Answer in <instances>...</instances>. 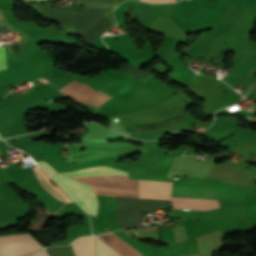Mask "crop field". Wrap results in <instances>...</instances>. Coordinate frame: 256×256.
I'll list each match as a JSON object with an SVG mask.
<instances>
[{
  "label": "crop field",
  "mask_w": 256,
  "mask_h": 256,
  "mask_svg": "<svg viewBox=\"0 0 256 256\" xmlns=\"http://www.w3.org/2000/svg\"><path fill=\"white\" fill-rule=\"evenodd\" d=\"M142 1H148V2H154V3L174 2V0H142Z\"/></svg>",
  "instance_id": "obj_16"
},
{
  "label": "crop field",
  "mask_w": 256,
  "mask_h": 256,
  "mask_svg": "<svg viewBox=\"0 0 256 256\" xmlns=\"http://www.w3.org/2000/svg\"><path fill=\"white\" fill-rule=\"evenodd\" d=\"M96 256H118L103 243L96 239Z\"/></svg>",
  "instance_id": "obj_13"
},
{
  "label": "crop field",
  "mask_w": 256,
  "mask_h": 256,
  "mask_svg": "<svg viewBox=\"0 0 256 256\" xmlns=\"http://www.w3.org/2000/svg\"><path fill=\"white\" fill-rule=\"evenodd\" d=\"M172 183L139 180L140 198L170 200Z\"/></svg>",
  "instance_id": "obj_5"
},
{
  "label": "crop field",
  "mask_w": 256,
  "mask_h": 256,
  "mask_svg": "<svg viewBox=\"0 0 256 256\" xmlns=\"http://www.w3.org/2000/svg\"><path fill=\"white\" fill-rule=\"evenodd\" d=\"M118 228L140 226V212L171 206V201L115 197Z\"/></svg>",
  "instance_id": "obj_3"
},
{
  "label": "crop field",
  "mask_w": 256,
  "mask_h": 256,
  "mask_svg": "<svg viewBox=\"0 0 256 256\" xmlns=\"http://www.w3.org/2000/svg\"><path fill=\"white\" fill-rule=\"evenodd\" d=\"M71 246L76 256H94V237H80Z\"/></svg>",
  "instance_id": "obj_11"
},
{
  "label": "crop field",
  "mask_w": 256,
  "mask_h": 256,
  "mask_svg": "<svg viewBox=\"0 0 256 256\" xmlns=\"http://www.w3.org/2000/svg\"><path fill=\"white\" fill-rule=\"evenodd\" d=\"M1 138V137H0Z\"/></svg>",
  "instance_id": "obj_19"
},
{
  "label": "crop field",
  "mask_w": 256,
  "mask_h": 256,
  "mask_svg": "<svg viewBox=\"0 0 256 256\" xmlns=\"http://www.w3.org/2000/svg\"><path fill=\"white\" fill-rule=\"evenodd\" d=\"M172 196L216 199L214 189L211 187L173 186Z\"/></svg>",
  "instance_id": "obj_9"
},
{
  "label": "crop field",
  "mask_w": 256,
  "mask_h": 256,
  "mask_svg": "<svg viewBox=\"0 0 256 256\" xmlns=\"http://www.w3.org/2000/svg\"><path fill=\"white\" fill-rule=\"evenodd\" d=\"M22 2H46V0H21Z\"/></svg>",
  "instance_id": "obj_17"
},
{
  "label": "crop field",
  "mask_w": 256,
  "mask_h": 256,
  "mask_svg": "<svg viewBox=\"0 0 256 256\" xmlns=\"http://www.w3.org/2000/svg\"><path fill=\"white\" fill-rule=\"evenodd\" d=\"M38 164H39L41 167H43V168L48 172L49 175H51V174H53V173L56 172V171H55L51 166H49L45 161H40V162H38Z\"/></svg>",
  "instance_id": "obj_15"
},
{
  "label": "crop field",
  "mask_w": 256,
  "mask_h": 256,
  "mask_svg": "<svg viewBox=\"0 0 256 256\" xmlns=\"http://www.w3.org/2000/svg\"><path fill=\"white\" fill-rule=\"evenodd\" d=\"M32 169L42 187L54 198L63 202L73 201L37 164Z\"/></svg>",
  "instance_id": "obj_6"
},
{
  "label": "crop field",
  "mask_w": 256,
  "mask_h": 256,
  "mask_svg": "<svg viewBox=\"0 0 256 256\" xmlns=\"http://www.w3.org/2000/svg\"><path fill=\"white\" fill-rule=\"evenodd\" d=\"M73 1L94 5V6H115L121 2V0H73Z\"/></svg>",
  "instance_id": "obj_12"
},
{
  "label": "crop field",
  "mask_w": 256,
  "mask_h": 256,
  "mask_svg": "<svg viewBox=\"0 0 256 256\" xmlns=\"http://www.w3.org/2000/svg\"><path fill=\"white\" fill-rule=\"evenodd\" d=\"M174 208L207 210L219 207L216 200L172 197Z\"/></svg>",
  "instance_id": "obj_7"
},
{
  "label": "crop field",
  "mask_w": 256,
  "mask_h": 256,
  "mask_svg": "<svg viewBox=\"0 0 256 256\" xmlns=\"http://www.w3.org/2000/svg\"><path fill=\"white\" fill-rule=\"evenodd\" d=\"M7 68L5 46H0V70Z\"/></svg>",
  "instance_id": "obj_14"
},
{
  "label": "crop field",
  "mask_w": 256,
  "mask_h": 256,
  "mask_svg": "<svg viewBox=\"0 0 256 256\" xmlns=\"http://www.w3.org/2000/svg\"><path fill=\"white\" fill-rule=\"evenodd\" d=\"M134 15L149 29L159 18L156 13L146 3H136L128 5Z\"/></svg>",
  "instance_id": "obj_10"
},
{
  "label": "crop field",
  "mask_w": 256,
  "mask_h": 256,
  "mask_svg": "<svg viewBox=\"0 0 256 256\" xmlns=\"http://www.w3.org/2000/svg\"><path fill=\"white\" fill-rule=\"evenodd\" d=\"M101 241L105 242L120 256H139L137 251L115 236L112 232L101 234L97 236Z\"/></svg>",
  "instance_id": "obj_8"
},
{
  "label": "crop field",
  "mask_w": 256,
  "mask_h": 256,
  "mask_svg": "<svg viewBox=\"0 0 256 256\" xmlns=\"http://www.w3.org/2000/svg\"><path fill=\"white\" fill-rule=\"evenodd\" d=\"M35 256H47L46 254H45V252L44 251H40L38 254H36Z\"/></svg>",
  "instance_id": "obj_18"
},
{
  "label": "crop field",
  "mask_w": 256,
  "mask_h": 256,
  "mask_svg": "<svg viewBox=\"0 0 256 256\" xmlns=\"http://www.w3.org/2000/svg\"><path fill=\"white\" fill-rule=\"evenodd\" d=\"M40 248L29 234L0 237V256H20Z\"/></svg>",
  "instance_id": "obj_4"
},
{
  "label": "crop field",
  "mask_w": 256,
  "mask_h": 256,
  "mask_svg": "<svg viewBox=\"0 0 256 256\" xmlns=\"http://www.w3.org/2000/svg\"><path fill=\"white\" fill-rule=\"evenodd\" d=\"M26 4L36 9L47 18L60 24L69 33H76L83 36L91 30V28L109 9H111L87 7L83 5L81 10L78 11L75 9L50 7L49 5L43 4Z\"/></svg>",
  "instance_id": "obj_1"
},
{
  "label": "crop field",
  "mask_w": 256,
  "mask_h": 256,
  "mask_svg": "<svg viewBox=\"0 0 256 256\" xmlns=\"http://www.w3.org/2000/svg\"><path fill=\"white\" fill-rule=\"evenodd\" d=\"M62 174L68 177L97 175L128 176L126 172L111 168L109 166L94 167L73 172H64ZM52 177L69 193L72 198H74L79 203L82 208H84L91 215L95 216L98 203L91 187H88L72 179L66 178L58 173L53 175Z\"/></svg>",
  "instance_id": "obj_2"
}]
</instances>
